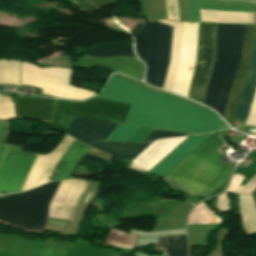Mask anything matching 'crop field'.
<instances>
[{
	"label": "crop field",
	"instance_id": "e1f06a70",
	"mask_svg": "<svg viewBox=\"0 0 256 256\" xmlns=\"http://www.w3.org/2000/svg\"><path fill=\"white\" fill-rule=\"evenodd\" d=\"M251 194L256 195V189Z\"/></svg>",
	"mask_w": 256,
	"mask_h": 256
},
{
	"label": "crop field",
	"instance_id": "dd49c442",
	"mask_svg": "<svg viewBox=\"0 0 256 256\" xmlns=\"http://www.w3.org/2000/svg\"><path fill=\"white\" fill-rule=\"evenodd\" d=\"M130 106L96 98L85 102L56 100L52 127L66 133L75 115L123 123Z\"/></svg>",
	"mask_w": 256,
	"mask_h": 256
},
{
	"label": "crop field",
	"instance_id": "8a807250",
	"mask_svg": "<svg viewBox=\"0 0 256 256\" xmlns=\"http://www.w3.org/2000/svg\"><path fill=\"white\" fill-rule=\"evenodd\" d=\"M94 97L132 104L127 124L196 134L224 128L223 122L210 111L146 91L114 74L105 89Z\"/></svg>",
	"mask_w": 256,
	"mask_h": 256
},
{
	"label": "crop field",
	"instance_id": "730fd06b",
	"mask_svg": "<svg viewBox=\"0 0 256 256\" xmlns=\"http://www.w3.org/2000/svg\"><path fill=\"white\" fill-rule=\"evenodd\" d=\"M216 218L205 206V203L197 205L188 218V224H213L219 223Z\"/></svg>",
	"mask_w": 256,
	"mask_h": 256
},
{
	"label": "crop field",
	"instance_id": "028f5c9d",
	"mask_svg": "<svg viewBox=\"0 0 256 256\" xmlns=\"http://www.w3.org/2000/svg\"><path fill=\"white\" fill-rule=\"evenodd\" d=\"M242 179H243V176L239 174L234 175L232 182L228 188V191H231L234 193V191L236 190V188L238 187Z\"/></svg>",
	"mask_w": 256,
	"mask_h": 256
},
{
	"label": "crop field",
	"instance_id": "eef30255",
	"mask_svg": "<svg viewBox=\"0 0 256 256\" xmlns=\"http://www.w3.org/2000/svg\"><path fill=\"white\" fill-rule=\"evenodd\" d=\"M140 127L119 124L105 140L128 142Z\"/></svg>",
	"mask_w": 256,
	"mask_h": 256
},
{
	"label": "crop field",
	"instance_id": "5866460e",
	"mask_svg": "<svg viewBox=\"0 0 256 256\" xmlns=\"http://www.w3.org/2000/svg\"><path fill=\"white\" fill-rule=\"evenodd\" d=\"M191 22H199L197 0H189Z\"/></svg>",
	"mask_w": 256,
	"mask_h": 256
},
{
	"label": "crop field",
	"instance_id": "214f88e0",
	"mask_svg": "<svg viewBox=\"0 0 256 256\" xmlns=\"http://www.w3.org/2000/svg\"><path fill=\"white\" fill-rule=\"evenodd\" d=\"M148 145V143L131 145L119 142H96L90 147L103 151L117 159L132 160Z\"/></svg>",
	"mask_w": 256,
	"mask_h": 256
},
{
	"label": "crop field",
	"instance_id": "dafd665d",
	"mask_svg": "<svg viewBox=\"0 0 256 256\" xmlns=\"http://www.w3.org/2000/svg\"><path fill=\"white\" fill-rule=\"evenodd\" d=\"M158 21L174 26L170 64L167 68L164 87H163V89L170 91L172 88V84H173V80H174V76H175V69H176V65H177L182 23L171 22L168 20H158Z\"/></svg>",
	"mask_w": 256,
	"mask_h": 256
},
{
	"label": "crop field",
	"instance_id": "733c2abd",
	"mask_svg": "<svg viewBox=\"0 0 256 256\" xmlns=\"http://www.w3.org/2000/svg\"><path fill=\"white\" fill-rule=\"evenodd\" d=\"M207 138V136L201 135L188 136L150 172L156 173L161 176L165 175L180 160H182L186 155H188L193 149H195Z\"/></svg>",
	"mask_w": 256,
	"mask_h": 256
},
{
	"label": "crop field",
	"instance_id": "bc2a9ffb",
	"mask_svg": "<svg viewBox=\"0 0 256 256\" xmlns=\"http://www.w3.org/2000/svg\"><path fill=\"white\" fill-rule=\"evenodd\" d=\"M91 149L92 148L75 140L73 144L67 149L64 156L61 158L60 162H62V164L53 181L71 178L77 166L90 152Z\"/></svg>",
	"mask_w": 256,
	"mask_h": 256
},
{
	"label": "crop field",
	"instance_id": "4177f3b9",
	"mask_svg": "<svg viewBox=\"0 0 256 256\" xmlns=\"http://www.w3.org/2000/svg\"><path fill=\"white\" fill-rule=\"evenodd\" d=\"M0 84L19 86V61L0 60Z\"/></svg>",
	"mask_w": 256,
	"mask_h": 256
},
{
	"label": "crop field",
	"instance_id": "bd1437ed",
	"mask_svg": "<svg viewBox=\"0 0 256 256\" xmlns=\"http://www.w3.org/2000/svg\"><path fill=\"white\" fill-rule=\"evenodd\" d=\"M183 135H185V133H174V132H167L163 130L154 129L152 133L145 139L144 142L166 138V137L183 136Z\"/></svg>",
	"mask_w": 256,
	"mask_h": 256
},
{
	"label": "crop field",
	"instance_id": "3316defc",
	"mask_svg": "<svg viewBox=\"0 0 256 256\" xmlns=\"http://www.w3.org/2000/svg\"><path fill=\"white\" fill-rule=\"evenodd\" d=\"M197 24L183 23L179 61L172 92L188 95L189 83L195 65Z\"/></svg>",
	"mask_w": 256,
	"mask_h": 256
},
{
	"label": "crop field",
	"instance_id": "5142ce71",
	"mask_svg": "<svg viewBox=\"0 0 256 256\" xmlns=\"http://www.w3.org/2000/svg\"><path fill=\"white\" fill-rule=\"evenodd\" d=\"M186 137L187 136L153 141L133 162H131L132 165L130 167L149 171Z\"/></svg>",
	"mask_w": 256,
	"mask_h": 256
},
{
	"label": "crop field",
	"instance_id": "d3111659",
	"mask_svg": "<svg viewBox=\"0 0 256 256\" xmlns=\"http://www.w3.org/2000/svg\"><path fill=\"white\" fill-rule=\"evenodd\" d=\"M15 118L12 99L0 95V119Z\"/></svg>",
	"mask_w": 256,
	"mask_h": 256
},
{
	"label": "crop field",
	"instance_id": "f4fd0767",
	"mask_svg": "<svg viewBox=\"0 0 256 256\" xmlns=\"http://www.w3.org/2000/svg\"><path fill=\"white\" fill-rule=\"evenodd\" d=\"M172 30V26L148 20L134 35L136 55L147 66L146 83L161 89L169 63Z\"/></svg>",
	"mask_w": 256,
	"mask_h": 256
},
{
	"label": "crop field",
	"instance_id": "ae1a2a85",
	"mask_svg": "<svg viewBox=\"0 0 256 256\" xmlns=\"http://www.w3.org/2000/svg\"><path fill=\"white\" fill-rule=\"evenodd\" d=\"M135 238H136L135 236L116 230L114 236L110 241V244L127 247V248H133Z\"/></svg>",
	"mask_w": 256,
	"mask_h": 256
},
{
	"label": "crop field",
	"instance_id": "22f410ed",
	"mask_svg": "<svg viewBox=\"0 0 256 256\" xmlns=\"http://www.w3.org/2000/svg\"><path fill=\"white\" fill-rule=\"evenodd\" d=\"M254 27L255 26H250V25H246L245 27V34H244V39L242 43L240 63H239L236 79L231 90L229 102H228L225 117H224L226 122L230 125L232 124V119L235 113V107L239 100L245 75L250 63Z\"/></svg>",
	"mask_w": 256,
	"mask_h": 256
},
{
	"label": "crop field",
	"instance_id": "ac0d7876",
	"mask_svg": "<svg viewBox=\"0 0 256 256\" xmlns=\"http://www.w3.org/2000/svg\"><path fill=\"white\" fill-rule=\"evenodd\" d=\"M222 143L219 138L209 137L162 179L192 195L214 192L226 183L231 169L220 161L225 156L213 153Z\"/></svg>",
	"mask_w": 256,
	"mask_h": 256
},
{
	"label": "crop field",
	"instance_id": "34b2d1b8",
	"mask_svg": "<svg viewBox=\"0 0 256 256\" xmlns=\"http://www.w3.org/2000/svg\"><path fill=\"white\" fill-rule=\"evenodd\" d=\"M243 33L244 25L217 26L214 65L203 103L222 117L239 63Z\"/></svg>",
	"mask_w": 256,
	"mask_h": 256
},
{
	"label": "crop field",
	"instance_id": "a9b5d70f",
	"mask_svg": "<svg viewBox=\"0 0 256 256\" xmlns=\"http://www.w3.org/2000/svg\"><path fill=\"white\" fill-rule=\"evenodd\" d=\"M157 248L169 252V256H186L185 235L160 237Z\"/></svg>",
	"mask_w": 256,
	"mask_h": 256
},
{
	"label": "crop field",
	"instance_id": "e52e79f7",
	"mask_svg": "<svg viewBox=\"0 0 256 256\" xmlns=\"http://www.w3.org/2000/svg\"><path fill=\"white\" fill-rule=\"evenodd\" d=\"M70 70L65 68L39 69L21 63V84L43 88L42 93L74 100L86 99L95 92L68 85Z\"/></svg>",
	"mask_w": 256,
	"mask_h": 256
},
{
	"label": "crop field",
	"instance_id": "d1516ede",
	"mask_svg": "<svg viewBox=\"0 0 256 256\" xmlns=\"http://www.w3.org/2000/svg\"><path fill=\"white\" fill-rule=\"evenodd\" d=\"M88 181L62 180L49 209V216L72 220L74 209Z\"/></svg>",
	"mask_w": 256,
	"mask_h": 256
},
{
	"label": "crop field",
	"instance_id": "5a996713",
	"mask_svg": "<svg viewBox=\"0 0 256 256\" xmlns=\"http://www.w3.org/2000/svg\"><path fill=\"white\" fill-rule=\"evenodd\" d=\"M216 24L200 23L197 65L194 71L189 98L202 102L212 64L214 29Z\"/></svg>",
	"mask_w": 256,
	"mask_h": 256
},
{
	"label": "crop field",
	"instance_id": "28ad6ade",
	"mask_svg": "<svg viewBox=\"0 0 256 256\" xmlns=\"http://www.w3.org/2000/svg\"><path fill=\"white\" fill-rule=\"evenodd\" d=\"M75 139L68 135L48 155H36L22 191L33 189L48 182L59 159Z\"/></svg>",
	"mask_w": 256,
	"mask_h": 256
},
{
	"label": "crop field",
	"instance_id": "0bd39190",
	"mask_svg": "<svg viewBox=\"0 0 256 256\" xmlns=\"http://www.w3.org/2000/svg\"><path fill=\"white\" fill-rule=\"evenodd\" d=\"M254 197V200H255V204H256V196H253Z\"/></svg>",
	"mask_w": 256,
	"mask_h": 256
},
{
	"label": "crop field",
	"instance_id": "750c4746",
	"mask_svg": "<svg viewBox=\"0 0 256 256\" xmlns=\"http://www.w3.org/2000/svg\"><path fill=\"white\" fill-rule=\"evenodd\" d=\"M68 248L44 244L38 256H65Z\"/></svg>",
	"mask_w": 256,
	"mask_h": 256
},
{
	"label": "crop field",
	"instance_id": "1d83c4d3",
	"mask_svg": "<svg viewBox=\"0 0 256 256\" xmlns=\"http://www.w3.org/2000/svg\"><path fill=\"white\" fill-rule=\"evenodd\" d=\"M7 138H8L7 122L0 120V161L7 147V145H5Z\"/></svg>",
	"mask_w": 256,
	"mask_h": 256
},
{
	"label": "crop field",
	"instance_id": "cbeb9de0",
	"mask_svg": "<svg viewBox=\"0 0 256 256\" xmlns=\"http://www.w3.org/2000/svg\"><path fill=\"white\" fill-rule=\"evenodd\" d=\"M116 125L115 123L76 116L67 134L89 145L104 140Z\"/></svg>",
	"mask_w": 256,
	"mask_h": 256
},
{
	"label": "crop field",
	"instance_id": "d32e631a",
	"mask_svg": "<svg viewBox=\"0 0 256 256\" xmlns=\"http://www.w3.org/2000/svg\"><path fill=\"white\" fill-rule=\"evenodd\" d=\"M255 188H256V174L245 186H240L239 188H237L235 193L250 194Z\"/></svg>",
	"mask_w": 256,
	"mask_h": 256
},
{
	"label": "crop field",
	"instance_id": "4a817a6b",
	"mask_svg": "<svg viewBox=\"0 0 256 256\" xmlns=\"http://www.w3.org/2000/svg\"><path fill=\"white\" fill-rule=\"evenodd\" d=\"M250 64L256 65V28H255ZM253 65L249 66V70L243 86L241 97H240L238 107L234 116V120H237V121L245 122V118H246V115H247V112L256 88V66H253Z\"/></svg>",
	"mask_w": 256,
	"mask_h": 256
},
{
	"label": "crop field",
	"instance_id": "92a150f3",
	"mask_svg": "<svg viewBox=\"0 0 256 256\" xmlns=\"http://www.w3.org/2000/svg\"><path fill=\"white\" fill-rule=\"evenodd\" d=\"M83 62L107 67L140 79L142 65L136 59L111 58L95 59L84 57Z\"/></svg>",
	"mask_w": 256,
	"mask_h": 256
},
{
	"label": "crop field",
	"instance_id": "d8731c3e",
	"mask_svg": "<svg viewBox=\"0 0 256 256\" xmlns=\"http://www.w3.org/2000/svg\"><path fill=\"white\" fill-rule=\"evenodd\" d=\"M21 147L10 145L0 165V191L19 192L36 154L21 152Z\"/></svg>",
	"mask_w": 256,
	"mask_h": 256
},
{
	"label": "crop field",
	"instance_id": "d9b57169",
	"mask_svg": "<svg viewBox=\"0 0 256 256\" xmlns=\"http://www.w3.org/2000/svg\"><path fill=\"white\" fill-rule=\"evenodd\" d=\"M54 100L20 99L14 103L16 117L51 121Z\"/></svg>",
	"mask_w": 256,
	"mask_h": 256
},
{
	"label": "crop field",
	"instance_id": "412701ff",
	"mask_svg": "<svg viewBox=\"0 0 256 256\" xmlns=\"http://www.w3.org/2000/svg\"><path fill=\"white\" fill-rule=\"evenodd\" d=\"M58 183H47L31 191L0 198V220L21 229L38 233L44 231L48 203Z\"/></svg>",
	"mask_w": 256,
	"mask_h": 256
},
{
	"label": "crop field",
	"instance_id": "00972430",
	"mask_svg": "<svg viewBox=\"0 0 256 256\" xmlns=\"http://www.w3.org/2000/svg\"><path fill=\"white\" fill-rule=\"evenodd\" d=\"M95 57H112V56H134L132 45L127 43H115L93 46L87 54Z\"/></svg>",
	"mask_w": 256,
	"mask_h": 256
},
{
	"label": "crop field",
	"instance_id": "120bbe31",
	"mask_svg": "<svg viewBox=\"0 0 256 256\" xmlns=\"http://www.w3.org/2000/svg\"><path fill=\"white\" fill-rule=\"evenodd\" d=\"M166 5L168 19L179 22L177 0H166Z\"/></svg>",
	"mask_w": 256,
	"mask_h": 256
}]
</instances>
